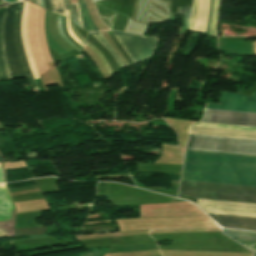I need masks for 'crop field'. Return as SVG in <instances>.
Instances as JSON below:
<instances>
[{"mask_svg":"<svg viewBox=\"0 0 256 256\" xmlns=\"http://www.w3.org/2000/svg\"><path fill=\"white\" fill-rule=\"evenodd\" d=\"M182 180L256 186V157L187 151ZM187 181L180 196L256 203V187Z\"/></svg>","mask_w":256,"mask_h":256,"instance_id":"obj_1","label":"crop field"},{"mask_svg":"<svg viewBox=\"0 0 256 256\" xmlns=\"http://www.w3.org/2000/svg\"><path fill=\"white\" fill-rule=\"evenodd\" d=\"M21 3L9 5L7 8L4 25V44L6 48V58L9 62L13 78H28L33 91H39L29 65L25 58L24 48L20 34V18L22 12Z\"/></svg>","mask_w":256,"mask_h":256,"instance_id":"obj_2","label":"crop field"},{"mask_svg":"<svg viewBox=\"0 0 256 256\" xmlns=\"http://www.w3.org/2000/svg\"><path fill=\"white\" fill-rule=\"evenodd\" d=\"M187 149L256 155V140L190 134Z\"/></svg>","mask_w":256,"mask_h":256,"instance_id":"obj_3","label":"crop field"},{"mask_svg":"<svg viewBox=\"0 0 256 256\" xmlns=\"http://www.w3.org/2000/svg\"><path fill=\"white\" fill-rule=\"evenodd\" d=\"M114 34L134 63L149 58L159 42L157 38L141 37L120 32H114Z\"/></svg>","mask_w":256,"mask_h":256,"instance_id":"obj_4","label":"crop field"},{"mask_svg":"<svg viewBox=\"0 0 256 256\" xmlns=\"http://www.w3.org/2000/svg\"><path fill=\"white\" fill-rule=\"evenodd\" d=\"M197 205L207 213L256 217V204L199 199Z\"/></svg>","mask_w":256,"mask_h":256,"instance_id":"obj_5","label":"crop field"},{"mask_svg":"<svg viewBox=\"0 0 256 256\" xmlns=\"http://www.w3.org/2000/svg\"><path fill=\"white\" fill-rule=\"evenodd\" d=\"M201 122L256 127V114L206 110Z\"/></svg>","mask_w":256,"mask_h":256,"instance_id":"obj_6","label":"crop field"},{"mask_svg":"<svg viewBox=\"0 0 256 256\" xmlns=\"http://www.w3.org/2000/svg\"><path fill=\"white\" fill-rule=\"evenodd\" d=\"M206 108L256 112V94L253 98L224 92L222 105L207 104Z\"/></svg>","mask_w":256,"mask_h":256,"instance_id":"obj_7","label":"crop field"},{"mask_svg":"<svg viewBox=\"0 0 256 256\" xmlns=\"http://www.w3.org/2000/svg\"><path fill=\"white\" fill-rule=\"evenodd\" d=\"M190 133L256 139V132L190 127Z\"/></svg>","mask_w":256,"mask_h":256,"instance_id":"obj_8","label":"crop field"},{"mask_svg":"<svg viewBox=\"0 0 256 256\" xmlns=\"http://www.w3.org/2000/svg\"><path fill=\"white\" fill-rule=\"evenodd\" d=\"M220 225L228 227L252 228L256 229V218L213 215L209 214Z\"/></svg>","mask_w":256,"mask_h":256,"instance_id":"obj_9","label":"crop field"},{"mask_svg":"<svg viewBox=\"0 0 256 256\" xmlns=\"http://www.w3.org/2000/svg\"><path fill=\"white\" fill-rule=\"evenodd\" d=\"M15 209L4 184H0V221L14 222Z\"/></svg>","mask_w":256,"mask_h":256,"instance_id":"obj_10","label":"crop field"},{"mask_svg":"<svg viewBox=\"0 0 256 256\" xmlns=\"http://www.w3.org/2000/svg\"><path fill=\"white\" fill-rule=\"evenodd\" d=\"M6 8L7 6L0 9V81L13 79L8 62L5 58V48L3 44V24Z\"/></svg>","mask_w":256,"mask_h":256,"instance_id":"obj_11","label":"crop field"},{"mask_svg":"<svg viewBox=\"0 0 256 256\" xmlns=\"http://www.w3.org/2000/svg\"><path fill=\"white\" fill-rule=\"evenodd\" d=\"M224 234L243 244L255 252L256 256V233L223 229Z\"/></svg>","mask_w":256,"mask_h":256,"instance_id":"obj_12","label":"crop field"},{"mask_svg":"<svg viewBox=\"0 0 256 256\" xmlns=\"http://www.w3.org/2000/svg\"><path fill=\"white\" fill-rule=\"evenodd\" d=\"M27 14H28V3L24 2L23 12H22V20H21L22 40H23V45H24V48H25L26 58L28 60L30 68H31V72H32L34 78L37 79L39 77H38L37 72L35 70L34 62H33L31 52H30V49H29V45H28V41H27V34H26Z\"/></svg>","mask_w":256,"mask_h":256,"instance_id":"obj_13","label":"crop field"},{"mask_svg":"<svg viewBox=\"0 0 256 256\" xmlns=\"http://www.w3.org/2000/svg\"><path fill=\"white\" fill-rule=\"evenodd\" d=\"M209 10V0H199L197 23L195 30L205 31Z\"/></svg>","mask_w":256,"mask_h":256,"instance_id":"obj_14","label":"crop field"},{"mask_svg":"<svg viewBox=\"0 0 256 256\" xmlns=\"http://www.w3.org/2000/svg\"><path fill=\"white\" fill-rule=\"evenodd\" d=\"M101 44H103L107 50L110 52L112 57L114 58L115 62L117 63L118 67H125L126 64L123 60L119 57L113 47L109 44V42L105 39V37L101 34V32L91 33Z\"/></svg>","mask_w":256,"mask_h":256,"instance_id":"obj_15","label":"crop field"},{"mask_svg":"<svg viewBox=\"0 0 256 256\" xmlns=\"http://www.w3.org/2000/svg\"><path fill=\"white\" fill-rule=\"evenodd\" d=\"M79 8H80V12H81V17H82V23H83L84 30L88 31V32L98 31L96 25L92 22L89 14H88L86 4L85 3L80 4Z\"/></svg>","mask_w":256,"mask_h":256,"instance_id":"obj_16","label":"crop field"},{"mask_svg":"<svg viewBox=\"0 0 256 256\" xmlns=\"http://www.w3.org/2000/svg\"><path fill=\"white\" fill-rule=\"evenodd\" d=\"M14 223L0 222V236H13Z\"/></svg>","mask_w":256,"mask_h":256,"instance_id":"obj_17","label":"crop field"},{"mask_svg":"<svg viewBox=\"0 0 256 256\" xmlns=\"http://www.w3.org/2000/svg\"><path fill=\"white\" fill-rule=\"evenodd\" d=\"M191 8L179 7V10H178V15H184V18H183V21H184L183 28L186 29V30L188 29V26H189V19H190Z\"/></svg>","mask_w":256,"mask_h":256,"instance_id":"obj_18","label":"crop field"},{"mask_svg":"<svg viewBox=\"0 0 256 256\" xmlns=\"http://www.w3.org/2000/svg\"><path fill=\"white\" fill-rule=\"evenodd\" d=\"M52 12L64 15V7L62 0H50Z\"/></svg>","mask_w":256,"mask_h":256,"instance_id":"obj_19","label":"crop field"},{"mask_svg":"<svg viewBox=\"0 0 256 256\" xmlns=\"http://www.w3.org/2000/svg\"><path fill=\"white\" fill-rule=\"evenodd\" d=\"M197 6H198V0H194L193 9H192V13H191L190 26H189V30H191V31H194V27H195Z\"/></svg>","mask_w":256,"mask_h":256,"instance_id":"obj_20","label":"crop field"},{"mask_svg":"<svg viewBox=\"0 0 256 256\" xmlns=\"http://www.w3.org/2000/svg\"><path fill=\"white\" fill-rule=\"evenodd\" d=\"M58 30H59V33L60 35L62 36V38L68 43L70 44L73 48H75L77 51H79L81 53L82 50H80L77 46H75L72 42H70L66 36L64 35L63 33V30H62V20H61V16L58 15Z\"/></svg>","mask_w":256,"mask_h":256,"instance_id":"obj_21","label":"crop field"},{"mask_svg":"<svg viewBox=\"0 0 256 256\" xmlns=\"http://www.w3.org/2000/svg\"><path fill=\"white\" fill-rule=\"evenodd\" d=\"M72 7H73L75 23L77 26L82 28L80 13L78 9V3L72 4Z\"/></svg>","mask_w":256,"mask_h":256,"instance_id":"obj_22","label":"crop field"},{"mask_svg":"<svg viewBox=\"0 0 256 256\" xmlns=\"http://www.w3.org/2000/svg\"><path fill=\"white\" fill-rule=\"evenodd\" d=\"M220 9V0H216V16H215V26H214V36H217V22H218V15Z\"/></svg>","mask_w":256,"mask_h":256,"instance_id":"obj_23","label":"crop field"},{"mask_svg":"<svg viewBox=\"0 0 256 256\" xmlns=\"http://www.w3.org/2000/svg\"><path fill=\"white\" fill-rule=\"evenodd\" d=\"M86 45H87L91 50H93V51L100 57V59H101V60L103 61V63L105 64V66H106V68H107V70H108V73L111 74L112 72H111L109 66L107 65L106 61H105L104 58L102 57V55H101L93 46H91L92 44L90 45V44L87 42Z\"/></svg>","mask_w":256,"mask_h":256,"instance_id":"obj_24","label":"crop field"},{"mask_svg":"<svg viewBox=\"0 0 256 256\" xmlns=\"http://www.w3.org/2000/svg\"><path fill=\"white\" fill-rule=\"evenodd\" d=\"M214 15H215V0H214V4H213V15H212L211 24H210L209 35H212V33H213Z\"/></svg>","mask_w":256,"mask_h":256,"instance_id":"obj_25","label":"crop field"},{"mask_svg":"<svg viewBox=\"0 0 256 256\" xmlns=\"http://www.w3.org/2000/svg\"><path fill=\"white\" fill-rule=\"evenodd\" d=\"M67 29H68V32L70 34V36L72 38H74L80 45L84 46V44L82 42H80L73 34V32L70 30V24H69V19H67Z\"/></svg>","mask_w":256,"mask_h":256,"instance_id":"obj_26","label":"crop field"},{"mask_svg":"<svg viewBox=\"0 0 256 256\" xmlns=\"http://www.w3.org/2000/svg\"><path fill=\"white\" fill-rule=\"evenodd\" d=\"M71 22V21H70ZM71 29L73 30V32L75 33V35L84 43L85 40L77 33L76 28L74 26V23L71 22Z\"/></svg>","mask_w":256,"mask_h":256,"instance_id":"obj_27","label":"crop field"},{"mask_svg":"<svg viewBox=\"0 0 256 256\" xmlns=\"http://www.w3.org/2000/svg\"><path fill=\"white\" fill-rule=\"evenodd\" d=\"M0 182H5L4 168H0Z\"/></svg>","mask_w":256,"mask_h":256,"instance_id":"obj_28","label":"crop field"},{"mask_svg":"<svg viewBox=\"0 0 256 256\" xmlns=\"http://www.w3.org/2000/svg\"><path fill=\"white\" fill-rule=\"evenodd\" d=\"M67 2H68V6H69L70 19H72V20H73V14H72L71 4H70V1H69V0H67ZM73 21H74V20H73Z\"/></svg>","mask_w":256,"mask_h":256,"instance_id":"obj_29","label":"crop field"},{"mask_svg":"<svg viewBox=\"0 0 256 256\" xmlns=\"http://www.w3.org/2000/svg\"><path fill=\"white\" fill-rule=\"evenodd\" d=\"M44 2H45V9L51 12L49 0H44Z\"/></svg>","mask_w":256,"mask_h":256,"instance_id":"obj_30","label":"crop field"},{"mask_svg":"<svg viewBox=\"0 0 256 256\" xmlns=\"http://www.w3.org/2000/svg\"><path fill=\"white\" fill-rule=\"evenodd\" d=\"M64 1V7H65V13H66V16L67 17H69V15H68V7H67V3H66V1L65 0H63Z\"/></svg>","mask_w":256,"mask_h":256,"instance_id":"obj_31","label":"crop field"},{"mask_svg":"<svg viewBox=\"0 0 256 256\" xmlns=\"http://www.w3.org/2000/svg\"><path fill=\"white\" fill-rule=\"evenodd\" d=\"M34 4L40 6V0H34Z\"/></svg>","mask_w":256,"mask_h":256,"instance_id":"obj_32","label":"crop field"},{"mask_svg":"<svg viewBox=\"0 0 256 256\" xmlns=\"http://www.w3.org/2000/svg\"><path fill=\"white\" fill-rule=\"evenodd\" d=\"M41 7L44 8L43 0H41Z\"/></svg>","mask_w":256,"mask_h":256,"instance_id":"obj_33","label":"crop field"},{"mask_svg":"<svg viewBox=\"0 0 256 256\" xmlns=\"http://www.w3.org/2000/svg\"><path fill=\"white\" fill-rule=\"evenodd\" d=\"M0 162H3V159H2V157L0 156Z\"/></svg>","mask_w":256,"mask_h":256,"instance_id":"obj_34","label":"crop field"},{"mask_svg":"<svg viewBox=\"0 0 256 256\" xmlns=\"http://www.w3.org/2000/svg\"><path fill=\"white\" fill-rule=\"evenodd\" d=\"M17 0H12V2H16Z\"/></svg>","mask_w":256,"mask_h":256,"instance_id":"obj_35","label":"crop field"},{"mask_svg":"<svg viewBox=\"0 0 256 256\" xmlns=\"http://www.w3.org/2000/svg\"><path fill=\"white\" fill-rule=\"evenodd\" d=\"M6 1L11 2V0H6Z\"/></svg>","mask_w":256,"mask_h":256,"instance_id":"obj_36","label":"crop field"},{"mask_svg":"<svg viewBox=\"0 0 256 256\" xmlns=\"http://www.w3.org/2000/svg\"><path fill=\"white\" fill-rule=\"evenodd\" d=\"M20 1V0H19Z\"/></svg>","mask_w":256,"mask_h":256,"instance_id":"obj_37","label":"crop field"}]
</instances>
